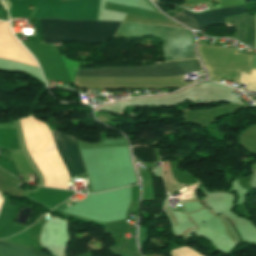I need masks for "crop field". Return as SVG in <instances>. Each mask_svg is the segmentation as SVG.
Instances as JSON below:
<instances>
[{"label": "crop field", "mask_w": 256, "mask_h": 256, "mask_svg": "<svg viewBox=\"0 0 256 256\" xmlns=\"http://www.w3.org/2000/svg\"><path fill=\"white\" fill-rule=\"evenodd\" d=\"M146 35L161 36L162 51L166 62L198 60L194 50V36L189 30L122 23L116 36L128 38ZM201 68L199 61H182L142 67L78 69L76 76L184 75L188 72L199 71Z\"/></svg>", "instance_id": "1"}, {"label": "crop field", "mask_w": 256, "mask_h": 256, "mask_svg": "<svg viewBox=\"0 0 256 256\" xmlns=\"http://www.w3.org/2000/svg\"><path fill=\"white\" fill-rule=\"evenodd\" d=\"M45 43L61 44L70 41L104 44L114 36L120 23L104 21H71L39 19Z\"/></svg>", "instance_id": "2"}, {"label": "crop field", "mask_w": 256, "mask_h": 256, "mask_svg": "<svg viewBox=\"0 0 256 256\" xmlns=\"http://www.w3.org/2000/svg\"><path fill=\"white\" fill-rule=\"evenodd\" d=\"M245 6L246 5L219 8L198 14H193L183 10L175 14L172 18L178 20L191 29L200 30L204 27L215 24H225L224 16L247 12Z\"/></svg>", "instance_id": "3"}, {"label": "crop field", "mask_w": 256, "mask_h": 256, "mask_svg": "<svg viewBox=\"0 0 256 256\" xmlns=\"http://www.w3.org/2000/svg\"><path fill=\"white\" fill-rule=\"evenodd\" d=\"M51 133L70 178L85 172L77 140L57 131H51Z\"/></svg>", "instance_id": "4"}, {"label": "crop field", "mask_w": 256, "mask_h": 256, "mask_svg": "<svg viewBox=\"0 0 256 256\" xmlns=\"http://www.w3.org/2000/svg\"><path fill=\"white\" fill-rule=\"evenodd\" d=\"M226 23L230 27L236 26V36H224L231 37L233 39L240 40L245 45L253 47L254 39V23L255 16L251 17L248 13L225 17ZM239 41V42H240Z\"/></svg>", "instance_id": "5"}, {"label": "crop field", "mask_w": 256, "mask_h": 256, "mask_svg": "<svg viewBox=\"0 0 256 256\" xmlns=\"http://www.w3.org/2000/svg\"><path fill=\"white\" fill-rule=\"evenodd\" d=\"M140 160L153 161V149L145 146H140Z\"/></svg>", "instance_id": "6"}, {"label": "crop field", "mask_w": 256, "mask_h": 256, "mask_svg": "<svg viewBox=\"0 0 256 256\" xmlns=\"http://www.w3.org/2000/svg\"><path fill=\"white\" fill-rule=\"evenodd\" d=\"M133 156L139 160V147L132 148Z\"/></svg>", "instance_id": "7"}, {"label": "crop field", "mask_w": 256, "mask_h": 256, "mask_svg": "<svg viewBox=\"0 0 256 256\" xmlns=\"http://www.w3.org/2000/svg\"><path fill=\"white\" fill-rule=\"evenodd\" d=\"M172 255H173V256H178V255L174 254L173 252H172Z\"/></svg>", "instance_id": "8"}]
</instances>
